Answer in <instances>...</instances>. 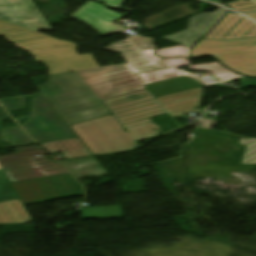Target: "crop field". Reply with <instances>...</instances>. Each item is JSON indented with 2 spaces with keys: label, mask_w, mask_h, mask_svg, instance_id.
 <instances>
[{
  "label": "crop field",
  "mask_w": 256,
  "mask_h": 256,
  "mask_svg": "<svg viewBox=\"0 0 256 256\" xmlns=\"http://www.w3.org/2000/svg\"><path fill=\"white\" fill-rule=\"evenodd\" d=\"M0 36L32 53L38 62L47 64L50 69L48 75L99 67L92 54L79 56L74 43L60 41L2 20Z\"/></svg>",
  "instance_id": "8a807250"
},
{
  "label": "crop field",
  "mask_w": 256,
  "mask_h": 256,
  "mask_svg": "<svg viewBox=\"0 0 256 256\" xmlns=\"http://www.w3.org/2000/svg\"><path fill=\"white\" fill-rule=\"evenodd\" d=\"M37 88L68 125L110 113L77 72L50 76Z\"/></svg>",
  "instance_id": "ac0d7876"
},
{
  "label": "crop field",
  "mask_w": 256,
  "mask_h": 256,
  "mask_svg": "<svg viewBox=\"0 0 256 256\" xmlns=\"http://www.w3.org/2000/svg\"><path fill=\"white\" fill-rule=\"evenodd\" d=\"M129 99L133 95H140ZM142 97L140 100H134ZM104 104L131 133L136 141L157 136L160 128L151 122L153 116L166 112L148 89L103 100ZM153 128L157 129L155 131Z\"/></svg>",
  "instance_id": "34b2d1b8"
},
{
  "label": "crop field",
  "mask_w": 256,
  "mask_h": 256,
  "mask_svg": "<svg viewBox=\"0 0 256 256\" xmlns=\"http://www.w3.org/2000/svg\"><path fill=\"white\" fill-rule=\"evenodd\" d=\"M70 127L95 155L140 148L130 133L122 130L123 126L113 114L70 125Z\"/></svg>",
  "instance_id": "412701ff"
},
{
  "label": "crop field",
  "mask_w": 256,
  "mask_h": 256,
  "mask_svg": "<svg viewBox=\"0 0 256 256\" xmlns=\"http://www.w3.org/2000/svg\"><path fill=\"white\" fill-rule=\"evenodd\" d=\"M212 55L226 66L256 77V38L207 40L203 38L191 49L192 58Z\"/></svg>",
  "instance_id": "f4fd0767"
},
{
  "label": "crop field",
  "mask_w": 256,
  "mask_h": 256,
  "mask_svg": "<svg viewBox=\"0 0 256 256\" xmlns=\"http://www.w3.org/2000/svg\"><path fill=\"white\" fill-rule=\"evenodd\" d=\"M24 205L81 196V185L71 174L13 183Z\"/></svg>",
  "instance_id": "dd49c442"
},
{
  "label": "crop field",
  "mask_w": 256,
  "mask_h": 256,
  "mask_svg": "<svg viewBox=\"0 0 256 256\" xmlns=\"http://www.w3.org/2000/svg\"><path fill=\"white\" fill-rule=\"evenodd\" d=\"M24 130L38 143L76 137L42 94L35 95Z\"/></svg>",
  "instance_id": "e52e79f7"
},
{
  "label": "crop field",
  "mask_w": 256,
  "mask_h": 256,
  "mask_svg": "<svg viewBox=\"0 0 256 256\" xmlns=\"http://www.w3.org/2000/svg\"><path fill=\"white\" fill-rule=\"evenodd\" d=\"M16 154L0 156V164L10 178L11 182L38 178L30 162L25 158L29 156L50 176L69 173L57 162H52L38 145L16 148ZM48 177V176H47ZM42 178V177H41Z\"/></svg>",
  "instance_id": "d8731c3e"
},
{
  "label": "crop field",
  "mask_w": 256,
  "mask_h": 256,
  "mask_svg": "<svg viewBox=\"0 0 256 256\" xmlns=\"http://www.w3.org/2000/svg\"><path fill=\"white\" fill-rule=\"evenodd\" d=\"M0 19L36 31L52 30L31 0H0Z\"/></svg>",
  "instance_id": "5a996713"
},
{
  "label": "crop field",
  "mask_w": 256,
  "mask_h": 256,
  "mask_svg": "<svg viewBox=\"0 0 256 256\" xmlns=\"http://www.w3.org/2000/svg\"><path fill=\"white\" fill-rule=\"evenodd\" d=\"M105 8V6L90 1L72 14L71 17L93 27L103 34L126 30L113 23L124 15H120Z\"/></svg>",
  "instance_id": "3316defc"
},
{
  "label": "crop field",
  "mask_w": 256,
  "mask_h": 256,
  "mask_svg": "<svg viewBox=\"0 0 256 256\" xmlns=\"http://www.w3.org/2000/svg\"><path fill=\"white\" fill-rule=\"evenodd\" d=\"M227 10L218 9L212 13H202L189 18L188 28L185 31L172 34L164 39L190 48L197 42L225 13Z\"/></svg>",
  "instance_id": "28ad6ade"
},
{
  "label": "crop field",
  "mask_w": 256,
  "mask_h": 256,
  "mask_svg": "<svg viewBox=\"0 0 256 256\" xmlns=\"http://www.w3.org/2000/svg\"><path fill=\"white\" fill-rule=\"evenodd\" d=\"M256 37V24L245 17L229 12L206 36L208 39Z\"/></svg>",
  "instance_id": "d1516ede"
},
{
  "label": "crop field",
  "mask_w": 256,
  "mask_h": 256,
  "mask_svg": "<svg viewBox=\"0 0 256 256\" xmlns=\"http://www.w3.org/2000/svg\"><path fill=\"white\" fill-rule=\"evenodd\" d=\"M202 91L203 87H200L157 98V100L170 116L183 115V113L190 112H200L204 111V109L195 110V107L199 106Z\"/></svg>",
  "instance_id": "22f410ed"
},
{
  "label": "crop field",
  "mask_w": 256,
  "mask_h": 256,
  "mask_svg": "<svg viewBox=\"0 0 256 256\" xmlns=\"http://www.w3.org/2000/svg\"><path fill=\"white\" fill-rule=\"evenodd\" d=\"M155 98L180 92L183 90L200 87L202 84L187 76L160 81L146 85Z\"/></svg>",
  "instance_id": "cbeb9de0"
},
{
  "label": "crop field",
  "mask_w": 256,
  "mask_h": 256,
  "mask_svg": "<svg viewBox=\"0 0 256 256\" xmlns=\"http://www.w3.org/2000/svg\"><path fill=\"white\" fill-rule=\"evenodd\" d=\"M50 154L62 152L66 159L91 155L78 138L41 144Z\"/></svg>",
  "instance_id": "5142ce71"
},
{
  "label": "crop field",
  "mask_w": 256,
  "mask_h": 256,
  "mask_svg": "<svg viewBox=\"0 0 256 256\" xmlns=\"http://www.w3.org/2000/svg\"><path fill=\"white\" fill-rule=\"evenodd\" d=\"M31 216L20 199L0 204V223L30 222Z\"/></svg>",
  "instance_id": "d9b57169"
},
{
  "label": "crop field",
  "mask_w": 256,
  "mask_h": 256,
  "mask_svg": "<svg viewBox=\"0 0 256 256\" xmlns=\"http://www.w3.org/2000/svg\"><path fill=\"white\" fill-rule=\"evenodd\" d=\"M62 164L71 170L78 179L107 174V171L105 172L94 157L63 162Z\"/></svg>",
  "instance_id": "733c2abd"
},
{
  "label": "crop field",
  "mask_w": 256,
  "mask_h": 256,
  "mask_svg": "<svg viewBox=\"0 0 256 256\" xmlns=\"http://www.w3.org/2000/svg\"><path fill=\"white\" fill-rule=\"evenodd\" d=\"M124 216L121 206L92 207L82 209V220L109 219Z\"/></svg>",
  "instance_id": "4a817a6b"
},
{
  "label": "crop field",
  "mask_w": 256,
  "mask_h": 256,
  "mask_svg": "<svg viewBox=\"0 0 256 256\" xmlns=\"http://www.w3.org/2000/svg\"><path fill=\"white\" fill-rule=\"evenodd\" d=\"M3 141L10 142L13 146L35 143L22 132L19 126L3 128Z\"/></svg>",
  "instance_id": "bc2a9ffb"
},
{
  "label": "crop field",
  "mask_w": 256,
  "mask_h": 256,
  "mask_svg": "<svg viewBox=\"0 0 256 256\" xmlns=\"http://www.w3.org/2000/svg\"><path fill=\"white\" fill-rule=\"evenodd\" d=\"M17 198V194L0 168V203Z\"/></svg>",
  "instance_id": "214f88e0"
},
{
  "label": "crop field",
  "mask_w": 256,
  "mask_h": 256,
  "mask_svg": "<svg viewBox=\"0 0 256 256\" xmlns=\"http://www.w3.org/2000/svg\"><path fill=\"white\" fill-rule=\"evenodd\" d=\"M240 143L248 146L242 164H256V139L255 138H249V139L242 138Z\"/></svg>",
  "instance_id": "92a150f3"
},
{
  "label": "crop field",
  "mask_w": 256,
  "mask_h": 256,
  "mask_svg": "<svg viewBox=\"0 0 256 256\" xmlns=\"http://www.w3.org/2000/svg\"><path fill=\"white\" fill-rule=\"evenodd\" d=\"M24 96L8 98V99H0L2 104L6 107L7 110H14V109H22L25 107L24 104Z\"/></svg>",
  "instance_id": "dafd665d"
},
{
  "label": "crop field",
  "mask_w": 256,
  "mask_h": 256,
  "mask_svg": "<svg viewBox=\"0 0 256 256\" xmlns=\"http://www.w3.org/2000/svg\"><path fill=\"white\" fill-rule=\"evenodd\" d=\"M236 80H237V79H236ZM239 80H240V82L242 83V85H243L244 87L256 86V80L250 79V78H248V77L240 78ZM232 81H233V80H232ZM228 82H230V81H228ZM224 83H226V82H224Z\"/></svg>",
  "instance_id": "00972430"
},
{
  "label": "crop field",
  "mask_w": 256,
  "mask_h": 256,
  "mask_svg": "<svg viewBox=\"0 0 256 256\" xmlns=\"http://www.w3.org/2000/svg\"><path fill=\"white\" fill-rule=\"evenodd\" d=\"M98 1H101L111 6L119 8L125 0H98Z\"/></svg>",
  "instance_id": "a9b5d70f"
},
{
  "label": "crop field",
  "mask_w": 256,
  "mask_h": 256,
  "mask_svg": "<svg viewBox=\"0 0 256 256\" xmlns=\"http://www.w3.org/2000/svg\"><path fill=\"white\" fill-rule=\"evenodd\" d=\"M7 117H8V115L5 113L3 108H0V120L3 119V118H7Z\"/></svg>",
  "instance_id": "4177f3b9"
},
{
  "label": "crop field",
  "mask_w": 256,
  "mask_h": 256,
  "mask_svg": "<svg viewBox=\"0 0 256 256\" xmlns=\"http://www.w3.org/2000/svg\"><path fill=\"white\" fill-rule=\"evenodd\" d=\"M211 1H214V2H217V3H221V0H211Z\"/></svg>",
  "instance_id": "730fd06b"
}]
</instances>
